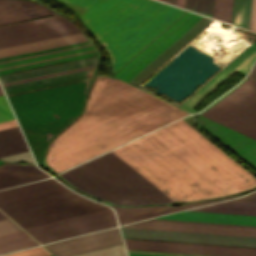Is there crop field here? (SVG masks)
<instances>
[{"label": "crop field", "mask_w": 256, "mask_h": 256, "mask_svg": "<svg viewBox=\"0 0 256 256\" xmlns=\"http://www.w3.org/2000/svg\"><path fill=\"white\" fill-rule=\"evenodd\" d=\"M199 127L208 131L256 169V141L199 115Z\"/></svg>", "instance_id": "crop-field-14"}, {"label": "crop field", "mask_w": 256, "mask_h": 256, "mask_svg": "<svg viewBox=\"0 0 256 256\" xmlns=\"http://www.w3.org/2000/svg\"><path fill=\"white\" fill-rule=\"evenodd\" d=\"M0 159L4 160V161H7V162L23 161V162L35 163L29 151L19 153V154H15V155H11V156H7V157H3V158H0Z\"/></svg>", "instance_id": "crop-field-28"}, {"label": "crop field", "mask_w": 256, "mask_h": 256, "mask_svg": "<svg viewBox=\"0 0 256 256\" xmlns=\"http://www.w3.org/2000/svg\"><path fill=\"white\" fill-rule=\"evenodd\" d=\"M56 14V12L25 0H0V24Z\"/></svg>", "instance_id": "crop-field-17"}, {"label": "crop field", "mask_w": 256, "mask_h": 256, "mask_svg": "<svg viewBox=\"0 0 256 256\" xmlns=\"http://www.w3.org/2000/svg\"><path fill=\"white\" fill-rule=\"evenodd\" d=\"M122 227L256 237V226L243 225L150 219L146 221L124 225Z\"/></svg>", "instance_id": "crop-field-11"}, {"label": "crop field", "mask_w": 256, "mask_h": 256, "mask_svg": "<svg viewBox=\"0 0 256 256\" xmlns=\"http://www.w3.org/2000/svg\"><path fill=\"white\" fill-rule=\"evenodd\" d=\"M127 249L221 256H256V249L124 239Z\"/></svg>", "instance_id": "crop-field-12"}, {"label": "crop field", "mask_w": 256, "mask_h": 256, "mask_svg": "<svg viewBox=\"0 0 256 256\" xmlns=\"http://www.w3.org/2000/svg\"><path fill=\"white\" fill-rule=\"evenodd\" d=\"M123 237L130 239L172 241L185 243L213 244L226 246L254 247L256 248L255 237L198 234L142 229L121 228Z\"/></svg>", "instance_id": "crop-field-10"}, {"label": "crop field", "mask_w": 256, "mask_h": 256, "mask_svg": "<svg viewBox=\"0 0 256 256\" xmlns=\"http://www.w3.org/2000/svg\"><path fill=\"white\" fill-rule=\"evenodd\" d=\"M187 211L256 216V202L228 200V201L207 205V206H203V207H199V208H195ZM189 212H180L172 215H167V216L159 217V219L256 225V217L189 213Z\"/></svg>", "instance_id": "crop-field-8"}, {"label": "crop field", "mask_w": 256, "mask_h": 256, "mask_svg": "<svg viewBox=\"0 0 256 256\" xmlns=\"http://www.w3.org/2000/svg\"><path fill=\"white\" fill-rule=\"evenodd\" d=\"M173 201L228 195L256 186V177L184 118L110 151ZM109 152L61 173L72 186L118 205L170 200Z\"/></svg>", "instance_id": "crop-field-1"}, {"label": "crop field", "mask_w": 256, "mask_h": 256, "mask_svg": "<svg viewBox=\"0 0 256 256\" xmlns=\"http://www.w3.org/2000/svg\"><path fill=\"white\" fill-rule=\"evenodd\" d=\"M164 1L167 2V3L173 4V5L176 6V1H177V0H164Z\"/></svg>", "instance_id": "crop-field-33"}, {"label": "crop field", "mask_w": 256, "mask_h": 256, "mask_svg": "<svg viewBox=\"0 0 256 256\" xmlns=\"http://www.w3.org/2000/svg\"><path fill=\"white\" fill-rule=\"evenodd\" d=\"M39 244L11 220L0 221V254Z\"/></svg>", "instance_id": "crop-field-22"}, {"label": "crop field", "mask_w": 256, "mask_h": 256, "mask_svg": "<svg viewBox=\"0 0 256 256\" xmlns=\"http://www.w3.org/2000/svg\"><path fill=\"white\" fill-rule=\"evenodd\" d=\"M57 15L0 26V47L79 32ZM98 55L82 32L0 48V75Z\"/></svg>", "instance_id": "crop-field-4"}, {"label": "crop field", "mask_w": 256, "mask_h": 256, "mask_svg": "<svg viewBox=\"0 0 256 256\" xmlns=\"http://www.w3.org/2000/svg\"><path fill=\"white\" fill-rule=\"evenodd\" d=\"M15 118L4 95L0 96V122Z\"/></svg>", "instance_id": "crop-field-27"}, {"label": "crop field", "mask_w": 256, "mask_h": 256, "mask_svg": "<svg viewBox=\"0 0 256 256\" xmlns=\"http://www.w3.org/2000/svg\"><path fill=\"white\" fill-rule=\"evenodd\" d=\"M29 150L18 126L0 130V157Z\"/></svg>", "instance_id": "crop-field-23"}, {"label": "crop field", "mask_w": 256, "mask_h": 256, "mask_svg": "<svg viewBox=\"0 0 256 256\" xmlns=\"http://www.w3.org/2000/svg\"><path fill=\"white\" fill-rule=\"evenodd\" d=\"M7 217L0 212V220L6 219Z\"/></svg>", "instance_id": "crop-field-34"}, {"label": "crop field", "mask_w": 256, "mask_h": 256, "mask_svg": "<svg viewBox=\"0 0 256 256\" xmlns=\"http://www.w3.org/2000/svg\"><path fill=\"white\" fill-rule=\"evenodd\" d=\"M50 177L37 166L7 164L0 166V189Z\"/></svg>", "instance_id": "crop-field-20"}, {"label": "crop field", "mask_w": 256, "mask_h": 256, "mask_svg": "<svg viewBox=\"0 0 256 256\" xmlns=\"http://www.w3.org/2000/svg\"><path fill=\"white\" fill-rule=\"evenodd\" d=\"M247 78H250L254 81H256V62L251 70V72L248 74Z\"/></svg>", "instance_id": "crop-field-30"}, {"label": "crop field", "mask_w": 256, "mask_h": 256, "mask_svg": "<svg viewBox=\"0 0 256 256\" xmlns=\"http://www.w3.org/2000/svg\"><path fill=\"white\" fill-rule=\"evenodd\" d=\"M16 125H18V124H17L16 120L13 119V120L1 122V123H0V129H4V128L16 126Z\"/></svg>", "instance_id": "crop-field-29"}, {"label": "crop field", "mask_w": 256, "mask_h": 256, "mask_svg": "<svg viewBox=\"0 0 256 256\" xmlns=\"http://www.w3.org/2000/svg\"><path fill=\"white\" fill-rule=\"evenodd\" d=\"M256 58V42L243 52L237 59L228 65L222 72H220L214 79L205 85L199 92L190 98L181 108L194 113L197 112L193 108L215 90L220 84L231 77L235 72L247 74L251 65Z\"/></svg>", "instance_id": "crop-field-15"}, {"label": "crop field", "mask_w": 256, "mask_h": 256, "mask_svg": "<svg viewBox=\"0 0 256 256\" xmlns=\"http://www.w3.org/2000/svg\"><path fill=\"white\" fill-rule=\"evenodd\" d=\"M163 1V0H162Z\"/></svg>", "instance_id": "crop-field-38"}, {"label": "crop field", "mask_w": 256, "mask_h": 256, "mask_svg": "<svg viewBox=\"0 0 256 256\" xmlns=\"http://www.w3.org/2000/svg\"><path fill=\"white\" fill-rule=\"evenodd\" d=\"M61 189H65V187L58 183L56 180L50 178L0 191V204Z\"/></svg>", "instance_id": "crop-field-21"}, {"label": "crop field", "mask_w": 256, "mask_h": 256, "mask_svg": "<svg viewBox=\"0 0 256 256\" xmlns=\"http://www.w3.org/2000/svg\"><path fill=\"white\" fill-rule=\"evenodd\" d=\"M212 19L203 17L193 27H191L185 34L176 40L170 47L161 53L155 60H153L147 67L138 73L129 83L138 85L147 76H149L155 69L164 63L170 56H172L178 49H180L186 42L195 36L201 29H203Z\"/></svg>", "instance_id": "crop-field-19"}, {"label": "crop field", "mask_w": 256, "mask_h": 256, "mask_svg": "<svg viewBox=\"0 0 256 256\" xmlns=\"http://www.w3.org/2000/svg\"><path fill=\"white\" fill-rule=\"evenodd\" d=\"M78 256H127L124 245H118Z\"/></svg>", "instance_id": "crop-field-25"}, {"label": "crop field", "mask_w": 256, "mask_h": 256, "mask_svg": "<svg viewBox=\"0 0 256 256\" xmlns=\"http://www.w3.org/2000/svg\"><path fill=\"white\" fill-rule=\"evenodd\" d=\"M234 0H215L213 17L231 24ZM253 0H235L232 24L250 30ZM251 30L256 32V0Z\"/></svg>", "instance_id": "crop-field-16"}, {"label": "crop field", "mask_w": 256, "mask_h": 256, "mask_svg": "<svg viewBox=\"0 0 256 256\" xmlns=\"http://www.w3.org/2000/svg\"><path fill=\"white\" fill-rule=\"evenodd\" d=\"M129 256H160V255H147V254H134V253H128Z\"/></svg>", "instance_id": "crop-field-31"}, {"label": "crop field", "mask_w": 256, "mask_h": 256, "mask_svg": "<svg viewBox=\"0 0 256 256\" xmlns=\"http://www.w3.org/2000/svg\"><path fill=\"white\" fill-rule=\"evenodd\" d=\"M4 94L2 89H1V86H0V95Z\"/></svg>", "instance_id": "crop-field-35"}, {"label": "crop field", "mask_w": 256, "mask_h": 256, "mask_svg": "<svg viewBox=\"0 0 256 256\" xmlns=\"http://www.w3.org/2000/svg\"><path fill=\"white\" fill-rule=\"evenodd\" d=\"M90 8L98 0H66ZM152 0H100L80 19L102 44ZM184 10L152 1L102 45L113 70L168 26Z\"/></svg>", "instance_id": "crop-field-3"}, {"label": "crop field", "mask_w": 256, "mask_h": 256, "mask_svg": "<svg viewBox=\"0 0 256 256\" xmlns=\"http://www.w3.org/2000/svg\"><path fill=\"white\" fill-rule=\"evenodd\" d=\"M185 0H178L177 1V6L183 7L184 8Z\"/></svg>", "instance_id": "crop-field-32"}, {"label": "crop field", "mask_w": 256, "mask_h": 256, "mask_svg": "<svg viewBox=\"0 0 256 256\" xmlns=\"http://www.w3.org/2000/svg\"><path fill=\"white\" fill-rule=\"evenodd\" d=\"M51 256H53V255H51Z\"/></svg>", "instance_id": "crop-field-37"}, {"label": "crop field", "mask_w": 256, "mask_h": 256, "mask_svg": "<svg viewBox=\"0 0 256 256\" xmlns=\"http://www.w3.org/2000/svg\"><path fill=\"white\" fill-rule=\"evenodd\" d=\"M199 19H201V16L187 12L120 71H118L115 76L128 82L184 32L193 26Z\"/></svg>", "instance_id": "crop-field-9"}, {"label": "crop field", "mask_w": 256, "mask_h": 256, "mask_svg": "<svg viewBox=\"0 0 256 256\" xmlns=\"http://www.w3.org/2000/svg\"><path fill=\"white\" fill-rule=\"evenodd\" d=\"M185 115L118 79L97 75L84 113L50 143L46 164L62 172Z\"/></svg>", "instance_id": "crop-field-2"}, {"label": "crop field", "mask_w": 256, "mask_h": 256, "mask_svg": "<svg viewBox=\"0 0 256 256\" xmlns=\"http://www.w3.org/2000/svg\"><path fill=\"white\" fill-rule=\"evenodd\" d=\"M97 59L98 57L0 76V82L9 96L90 80L94 76Z\"/></svg>", "instance_id": "crop-field-6"}, {"label": "crop field", "mask_w": 256, "mask_h": 256, "mask_svg": "<svg viewBox=\"0 0 256 256\" xmlns=\"http://www.w3.org/2000/svg\"><path fill=\"white\" fill-rule=\"evenodd\" d=\"M235 196H238V195H235ZM231 197H234V196H231ZM227 198H230V197H227ZM219 200H222V199H219ZM214 201H218V200L190 203V204H185L178 207H172V206L135 207V208H123V207H117V206H113V207L116 210L119 224H126V223H130V222H134V221L214 202Z\"/></svg>", "instance_id": "crop-field-18"}, {"label": "crop field", "mask_w": 256, "mask_h": 256, "mask_svg": "<svg viewBox=\"0 0 256 256\" xmlns=\"http://www.w3.org/2000/svg\"><path fill=\"white\" fill-rule=\"evenodd\" d=\"M46 255H50V253L46 251L44 248L38 246V247H34V248H30V249H26V250L14 252V253L2 255V256H46Z\"/></svg>", "instance_id": "crop-field-26"}, {"label": "crop field", "mask_w": 256, "mask_h": 256, "mask_svg": "<svg viewBox=\"0 0 256 256\" xmlns=\"http://www.w3.org/2000/svg\"><path fill=\"white\" fill-rule=\"evenodd\" d=\"M202 115L256 139V82L246 81Z\"/></svg>", "instance_id": "crop-field-7"}, {"label": "crop field", "mask_w": 256, "mask_h": 256, "mask_svg": "<svg viewBox=\"0 0 256 256\" xmlns=\"http://www.w3.org/2000/svg\"><path fill=\"white\" fill-rule=\"evenodd\" d=\"M23 228L104 208L68 189L0 205ZM117 225L110 208L50 222L25 230L40 243Z\"/></svg>", "instance_id": "crop-field-5"}, {"label": "crop field", "mask_w": 256, "mask_h": 256, "mask_svg": "<svg viewBox=\"0 0 256 256\" xmlns=\"http://www.w3.org/2000/svg\"><path fill=\"white\" fill-rule=\"evenodd\" d=\"M214 0H186L185 8L212 17Z\"/></svg>", "instance_id": "crop-field-24"}, {"label": "crop field", "mask_w": 256, "mask_h": 256, "mask_svg": "<svg viewBox=\"0 0 256 256\" xmlns=\"http://www.w3.org/2000/svg\"><path fill=\"white\" fill-rule=\"evenodd\" d=\"M1 163H4V162H0V164H1Z\"/></svg>", "instance_id": "crop-field-36"}, {"label": "crop field", "mask_w": 256, "mask_h": 256, "mask_svg": "<svg viewBox=\"0 0 256 256\" xmlns=\"http://www.w3.org/2000/svg\"><path fill=\"white\" fill-rule=\"evenodd\" d=\"M122 239L117 227L44 245L55 256H73L117 244Z\"/></svg>", "instance_id": "crop-field-13"}]
</instances>
